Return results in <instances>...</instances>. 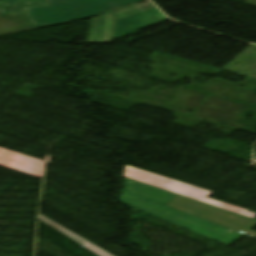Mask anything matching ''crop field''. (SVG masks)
Here are the masks:
<instances>
[{
  "label": "crop field",
  "mask_w": 256,
  "mask_h": 256,
  "mask_svg": "<svg viewBox=\"0 0 256 256\" xmlns=\"http://www.w3.org/2000/svg\"><path fill=\"white\" fill-rule=\"evenodd\" d=\"M175 196L169 192L125 178L120 202L194 231L226 246L244 234L164 206Z\"/></svg>",
  "instance_id": "8a807250"
},
{
  "label": "crop field",
  "mask_w": 256,
  "mask_h": 256,
  "mask_svg": "<svg viewBox=\"0 0 256 256\" xmlns=\"http://www.w3.org/2000/svg\"><path fill=\"white\" fill-rule=\"evenodd\" d=\"M144 0H47V6L25 8L34 28L83 20Z\"/></svg>",
  "instance_id": "ac0d7876"
},
{
  "label": "crop field",
  "mask_w": 256,
  "mask_h": 256,
  "mask_svg": "<svg viewBox=\"0 0 256 256\" xmlns=\"http://www.w3.org/2000/svg\"><path fill=\"white\" fill-rule=\"evenodd\" d=\"M46 5V0H8L9 14L24 12L25 7Z\"/></svg>",
  "instance_id": "d8731c3e"
},
{
  "label": "crop field",
  "mask_w": 256,
  "mask_h": 256,
  "mask_svg": "<svg viewBox=\"0 0 256 256\" xmlns=\"http://www.w3.org/2000/svg\"><path fill=\"white\" fill-rule=\"evenodd\" d=\"M155 8L150 2L126 7L93 19L89 26L87 43L113 42L115 21Z\"/></svg>",
  "instance_id": "f4fd0767"
},
{
  "label": "crop field",
  "mask_w": 256,
  "mask_h": 256,
  "mask_svg": "<svg viewBox=\"0 0 256 256\" xmlns=\"http://www.w3.org/2000/svg\"><path fill=\"white\" fill-rule=\"evenodd\" d=\"M124 177L155 186L157 188L169 191L174 194H180L252 219L256 217V214L248 212L246 211V209L206 198L213 192L206 191L174 180H170L135 168L125 166Z\"/></svg>",
  "instance_id": "34b2d1b8"
},
{
  "label": "crop field",
  "mask_w": 256,
  "mask_h": 256,
  "mask_svg": "<svg viewBox=\"0 0 256 256\" xmlns=\"http://www.w3.org/2000/svg\"><path fill=\"white\" fill-rule=\"evenodd\" d=\"M0 166L44 179L46 162L0 148Z\"/></svg>",
  "instance_id": "dd49c442"
},
{
  "label": "crop field",
  "mask_w": 256,
  "mask_h": 256,
  "mask_svg": "<svg viewBox=\"0 0 256 256\" xmlns=\"http://www.w3.org/2000/svg\"><path fill=\"white\" fill-rule=\"evenodd\" d=\"M168 20L157 8L117 21L114 39Z\"/></svg>",
  "instance_id": "e52e79f7"
},
{
  "label": "crop field",
  "mask_w": 256,
  "mask_h": 256,
  "mask_svg": "<svg viewBox=\"0 0 256 256\" xmlns=\"http://www.w3.org/2000/svg\"><path fill=\"white\" fill-rule=\"evenodd\" d=\"M166 206L256 237V232L249 230L256 225V220H252L215 207L209 208L207 207V204L180 195L166 204Z\"/></svg>",
  "instance_id": "412701ff"
},
{
  "label": "crop field",
  "mask_w": 256,
  "mask_h": 256,
  "mask_svg": "<svg viewBox=\"0 0 256 256\" xmlns=\"http://www.w3.org/2000/svg\"><path fill=\"white\" fill-rule=\"evenodd\" d=\"M0 14H6L5 1H0Z\"/></svg>",
  "instance_id": "5a996713"
}]
</instances>
